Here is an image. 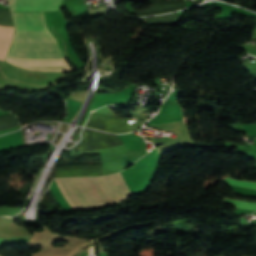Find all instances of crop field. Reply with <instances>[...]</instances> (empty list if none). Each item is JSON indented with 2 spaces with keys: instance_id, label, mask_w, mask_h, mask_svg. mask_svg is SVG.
Wrapping results in <instances>:
<instances>
[{
  "instance_id": "crop-field-5",
  "label": "crop field",
  "mask_w": 256,
  "mask_h": 256,
  "mask_svg": "<svg viewBox=\"0 0 256 256\" xmlns=\"http://www.w3.org/2000/svg\"><path fill=\"white\" fill-rule=\"evenodd\" d=\"M224 202L231 204L238 208H244V209H253L256 210V203L246 202V201H239V200H233V199H227L224 198Z\"/></svg>"
},
{
  "instance_id": "crop-field-6",
  "label": "crop field",
  "mask_w": 256,
  "mask_h": 256,
  "mask_svg": "<svg viewBox=\"0 0 256 256\" xmlns=\"http://www.w3.org/2000/svg\"><path fill=\"white\" fill-rule=\"evenodd\" d=\"M224 182H226L228 184L236 185V186L247 187V188H255L256 189V182L237 181V180H233L229 177L224 179Z\"/></svg>"
},
{
  "instance_id": "crop-field-1",
  "label": "crop field",
  "mask_w": 256,
  "mask_h": 256,
  "mask_svg": "<svg viewBox=\"0 0 256 256\" xmlns=\"http://www.w3.org/2000/svg\"><path fill=\"white\" fill-rule=\"evenodd\" d=\"M86 179L103 206L122 201L131 194L120 173ZM86 179L63 178L55 180L73 210L102 207L92 193Z\"/></svg>"
},
{
  "instance_id": "crop-field-4",
  "label": "crop field",
  "mask_w": 256,
  "mask_h": 256,
  "mask_svg": "<svg viewBox=\"0 0 256 256\" xmlns=\"http://www.w3.org/2000/svg\"><path fill=\"white\" fill-rule=\"evenodd\" d=\"M14 27L0 26V60H4L12 41Z\"/></svg>"
},
{
  "instance_id": "crop-field-3",
  "label": "crop field",
  "mask_w": 256,
  "mask_h": 256,
  "mask_svg": "<svg viewBox=\"0 0 256 256\" xmlns=\"http://www.w3.org/2000/svg\"><path fill=\"white\" fill-rule=\"evenodd\" d=\"M62 0H11V9L15 11H53Z\"/></svg>"
},
{
  "instance_id": "crop-field-7",
  "label": "crop field",
  "mask_w": 256,
  "mask_h": 256,
  "mask_svg": "<svg viewBox=\"0 0 256 256\" xmlns=\"http://www.w3.org/2000/svg\"><path fill=\"white\" fill-rule=\"evenodd\" d=\"M6 241L7 239H0V247H2Z\"/></svg>"
},
{
  "instance_id": "crop-field-2",
  "label": "crop field",
  "mask_w": 256,
  "mask_h": 256,
  "mask_svg": "<svg viewBox=\"0 0 256 256\" xmlns=\"http://www.w3.org/2000/svg\"><path fill=\"white\" fill-rule=\"evenodd\" d=\"M16 35L7 58H63L43 13H12Z\"/></svg>"
}]
</instances>
